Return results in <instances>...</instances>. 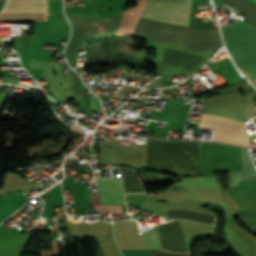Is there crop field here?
Masks as SVG:
<instances>
[{
	"label": "crop field",
	"mask_w": 256,
	"mask_h": 256,
	"mask_svg": "<svg viewBox=\"0 0 256 256\" xmlns=\"http://www.w3.org/2000/svg\"><path fill=\"white\" fill-rule=\"evenodd\" d=\"M0 21H47V13H0Z\"/></svg>",
	"instance_id": "crop-field-7"
},
{
	"label": "crop field",
	"mask_w": 256,
	"mask_h": 256,
	"mask_svg": "<svg viewBox=\"0 0 256 256\" xmlns=\"http://www.w3.org/2000/svg\"><path fill=\"white\" fill-rule=\"evenodd\" d=\"M198 128L217 129L214 140L249 145L242 121L202 114Z\"/></svg>",
	"instance_id": "crop-field-3"
},
{
	"label": "crop field",
	"mask_w": 256,
	"mask_h": 256,
	"mask_svg": "<svg viewBox=\"0 0 256 256\" xmlns=\"http://www.w3.org/2000/svg\"><path fill=\"white\" fill-rule=\"evenodd\" d=\"M93 205L97 212L109 211L110 214H118L120 220H124L123 211L121 206H101L98 193L90 194Z\"/></svg>",
	"instance_id": "crop-field-9"
},
{
	"label": "crop field",
	"mask_w": 256,
	"mask_h": 256,
	"mask_svg": "<svg viewBox=\"0 0 256 256\" xmlns=\"http://www.w3.org/2000/svg\"><path fill=\"white\" fill-rule=\"evenodd\" d=\"M223 38L256 31L242 22L222 27ZM226 48L237 66L255 84L256 82V32L224 39Z\"/></svg>",
	"instance_id": "crop-field-2"
},
{
	"label": "crop field",
	"mask_w": 256,
	"mask_h": 256,
	"mask_svg": "<svg viewBox=\"0 0 256 256\" xmlns=\"http://www.w3.org/2000/svg\"><path fill=\"white\" fill-rule=\"evenodd\" d=\"M139 19L138 17L125 15L119 27L135 29Z\"/></svg>",
	"instance_id": "crop-field-11"
},
{
	"label": "crop field",
	"mask_w": 256,
	"mask_h": 256,
	"mask_svg": "<svg viewBox=\"0 0 256 256\" xmlns=\"http://www.w3.org/2000/svg\"><path fill=\"white\" fill-rule=\"evenodd\" d=\"M200 158L241 163L240 148L201 142Z\"/></svg>",
	"instance_id": "crop-field-4"
},
{
	"label": "crop field",
	"mask_w": 256,
	"mask_h": 256,
	"mask_svg": "<svg viewBox=\"0 0 256 256\" xmlns=\"http://www.w3.org/2000/svg\"><path fill=\"white\" fill-rule=\"evenodd\" d=\"M192 0H148L143 18L188 26ZM140 19L134 36L153 42L188 44L186 51L215 53L222 46L217 27L196 29Z\"/></svg>",
	"instance_id": "crop-field-1"
},
{
	"label": "crop field",
	"mask_w": 256,
	"mask_h": 256,
	"mask_svg": "<svg viewBox=\"0 0 256 256\" xmlns=\"http://www.w3.org/2000/svg\"><path fill=\"white\" fill-rule=\"evenodd\" d=\"M182 187H210L216 188L214 178H184L182 181L176 183Z\"/></svg>",
	"instance_id": "crop-field-8"
},
{
	"label": "crop field",
	"mask_w": 256,
	"mask_h": 256,
	"mask_svg": "<svg viewBox=\"0 0 256 256\" xmlns=\"http://www.w3.org/2000/svg\"><path fill=\"white\" fill-rule=\"evenodd\" d=\"M102 204L125 205L120 179H95Z\"/></svg>",
	"instance_id": "crop-field-5"
},
{
	"label": "crop field",
	"mask_w": 256,
	"mask_h": 256,
	"mask_svg": "<svg viewBox=\"0 0 256 256\" xmlns=\"http://www.w3.org/2000/svg\"><path fill=\"white\" fill-rule=\"evenodd\" d=\"M143 234L146 239L148 249L161 250L155 227H152L151 231L143 232Z\"/></svg>",
	"instance_id": "crop-field-10"
},
{
	"label": "crop field",
	"mask_w": 256,
	"mask_h": 256,
	"mask_svg": "<svg viewBox=\"0 0 256 256\" xmlns=\"http://www.w3.org/2000/svg\"><path fill=\"white\" fill-rule=\"evenodd\" d=\"M224 4L233 6L241 10L250 19L247 23L256 26V0H218Z\"/></svg>",
	"instance_id": "crop-field-6"
}]
</instances>
